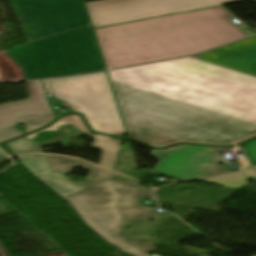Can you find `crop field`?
Wrapping results in <instances>:
<instances>
[{
    "instance_id": "crop-field-1",
    "label": "crop field",
    "mask_w": 256,
    "mask_h": 256,
    "mask_svg": "<svg viewBox=\"0 0 256 256\" xmlns=\"http://www.w3.org/2000/svg\"><path fill=\"white\" fill-rule=\"evenodd\" d=\"M131 139L226 146L256 135V78L188 57L108 71Z\"/></svg>"
},
{
    "instance_id": "crop-field-2",
    "label": "crop field",
    "mask_w": 256,
    "mask_h": 256,
    "mask_svg": "<svg viewBox=\"0 0 256 256\" xmlns=\"http://www.w3.org/2000/svg\"><path fill=\"white\" fill-rule=\"evenodd\" d=\"M223 6L95 29L108 69L181 57L249 36Z\"/></svg>"
},
{
    "instance_id": "crop-field-3",
    "label": "crop field",
    "mask_w": 256,
    "mask_h": 256,
    "mask_svg": "<svg viewBox=\"0 0 256 256\" xmlns=\"http://www.w3.org/2000/svg\"><path fill=\"white\" fill-rule=\"evenodd\" d=\"M86 188L63 197L84 223L111 245L133 255L149 256L151 242H129L119 236L125 222L158 219L151 209L138 206L136 198H154L153 190L128 181L80 183Z\"/></svg>"
},
{
    "instance_id": "crop-field-4",
    "label": "crop field",
    "mask_w": 256,
    "mask_h": 256,
    "mask_svg": "<svg viewBox=\"0 0 256 256\" xmlns=\"http://www.w3.org/2000/svg\"><path fill=\"white\" fill-rule=\"evenodd\" d=\"M4 52L23 68L25 80L105 70L90 25Z\"/></svg>"
},
{
    "instance_id": "crop-field-5",
    "label": "crop field",
    "mask_w": 256,
    "mask_h": 256,
    "mask_svg": "<svg viewBox=\"0 0 256 256\" xmlns=\"http://www.w3.org/2000/svg\"><path fill=\"white\" fill-rule=\"evenodd\" d=\"M43 81L48 95L83 114L94 130L117 136L125 132L105 72Z\"/></svg>"
},
{
    "instance_id": "crop-field-6",
    "label": "crop field",
    "mask_w": 256,
    "mask_h": 256,
    "mask_svg": "<svg viewBox=\"0 0 256 256\" xmlns=\"http://www.w3.org/2000/svg\"><path fill=\"white\" fill-rule=\"evenodd\" d=\"M27 42L91 23L83 0H11Z\"/></svg>"
},
{
    "instance_id": "crop-field-7",
    "label": "crop field",
    "mask_w": 256,
    "mask_h": 256,
    "mask_svg": "<svg viewBox=\"0 0 256 256\" xmlns=\"http://www.w3.org/2000/svg\"><path fill=\"white\" fill-rule=\"evenodd\" d=\"M237 0H100L85 3L94 27L203 8Z\"/></svg>"
},
{
    "instance_id": "crop-field-8",
    "label": "crop field",
    "mask_w": 256,
    "mask_h": 256,
    "mask_svg": "<svg viewBox=\"0 0 256 256\" xmlns=\"http://www.w3.org/2000/svg\"><path fill=\"white\" fill-rule=\"evenodd\" d=\"M152 156L158 164L150 172L178 179L180 181L227 172L219 166V160L211 153L210 147L178 145L164 150H153Z\"/></svg>"
},
{
    "instance_id": "crop-field-9",
    "label": "crop field",
    "mask_w": 256,
    "mask_h": 256,
    "mask_svg": "<svg viewBox=\"0 0 256 256\" xmlns=\"http://www.w3.org/2000/svg\"><path fill=\"white\" fill-rule=\"evenodd\" d=\"M26 84L29 99L0 105V128L25 123L27 133L55 119L43 97L41 82Z\"/></svg>"
},
{
    "instance_id": "crop-field-10",
    "label": "crop field",
    "mask_w": 256,
    "mask_h": 256,
    "mask_svg": "<svg viewBox=\"0 0 256 256\" xmlns=\"http://www.w3.org/2000/svg\"><path fill=\"white\" fill-rule=\"evenodd\" d=\"M197 58L256 77V37L224 46Z\"/></svg>"
},
{
    "instance_id": "crop-field-11",
    "label": "crop field",
    "mask_w": 256,
    "mask_h": 256,
    "mask_svg": "<svg viewBox=\"0 0 256 256\" xmlns=\"http://www.w3.org/2000/svg\"><path fill=\"white\" fill-rule=\"evenodd\" d=\"M18 158L19 160H22L21 162L23 163V165L34 174L49 172L50 174L38 176V178L46 183L48 186H50L62 197L85 188L62 174L51 173L43 155L33 154L20 156Z\"/></svg>"
},
{
    "instance_id": "crop-field-12",
    "label": "crop field",
    "mask_w": 256,
    "mask_h": 256,
    "mask_svg": "<svg viewBox=\"0 0 256 256\" xmlns=\"http://www.w3.org/2000/svg\"><path fill=\"white\" fill-rule=\"evenodd\" d=\"M83 122V121H82ZM81 122L79 115H70L61 118L60 125L72 124L77 127L82 133L93 138L90 147L103 150L99 160V166H103L112 170L119 152L122 140H113L112 137L102 135H92L84 124Z\"/></svg>"
},
{
    "instance_id": "crop-field-13",
    "label": "crop field",
    "mask_w": 256,
    "mask_h": 256,
    "mask_svg": "<svg viewBox=\"0 0 256 256\" xmlns=\"http://www.w3.org/2000/svg\"><path fill=\"white\" fill-rule=\"evenodd\" d=\"M44 156L52 172L59 171L65 174L75 166L81 167L90 171L85 181L113 179L118 175L78 159L53 156V155H44Z\"/></svg>"
},
{
    "instance_id": "crop-field-14",
    "label": "crop field",
    "mask_w": 256,
    "mask_h": 256,
    "mask_svg": "<svg viewBox=\"0 0 256 256\" xmlns=\"http://www.w3.org/2000/svg\"><path fill=\"white\" fill-rule=\"evenodd\" d=\"M248 178L256 179V170L254 168L203 180V181L238 189L242 185L247 184L246 181L248 180Z\"/></svg>"
},
{
    "instance_id": "crop-field-15",
    "label": "crop field",
    "mask_w": 256,
    "mask_h": 256,
    "mask_svg": "<svg viewBox=\"0 0 256 256\" xmlns=\"http://www.w3.org/2000/svg\"><path fill=\"white\" fill-rule=\"evenodd\" d=\"M56 133L57 132H41L33 140L26 141L25 137H21L19 139L8 142V144L15 152V154L24 152H42L38 143L55 137Z\"/></svg>"
},
{
    "instance_id": "crop-field-16",
    "label": "crop field",
    "mask_w": 256,
    "mask_h": 256,
    "mask_svg": "<svg viewBox=\"0 0 256 256\" xmlns=\"http://www.w3.org/2000/svg\"><path fill=\"white\" fill-rule=\"evenodd\" d=\"M241 146L246 150L253 165H256V138L241 144Z\"/></svg>"
},
{
    "instance_id": "crop-field-17",
    "label": "crop field",
    "mask_w": 256,
    "mask_h": 256,
    "mask_svg": "<svg viewBox=\"0 0 256 256\" xmlns=\"http://www.w3.org/2000/svg\"><path fill=\"white\" fill-rule=\"evenodd\" d=\"M18 135H22V134L13 128L0 130V139L15 137Z\"/></svg>"
},
{
    "instance_id": "crop-field-18",
    "label": "crop field",
    "mask_w": 256,
    "mask_h": 256,
    "mask_svg": "<svg viewBox=\"0 0 256 256\" xmlns=\"http://www.w3.org/2000/svg\"><path fill=\"white\" fill-rule=\"evenodd\" d=\"M59 121H60V120H59ZM59 121H57L56 123H54L51 127L47 128V129H44V130H41V131H57ZM39 132H40V131H38V132H36V133H33V134H30V135H27V138H28V139H32V138L36 137Z\"/></svg>"
},
{
    "instance_id": "crop-field-19",
    "label": "crop field",
    "mask_w": 256,
    "mask_h": 256,
    "mask_svg": "<svg viewBox=\"0 0 256 256\" xmlns=\"http://www.w3.org/2000/svg\"><path fill=\"white\" fill-rule=\"evenodd\" d=\"M243 158H244V160L241 162V163H242V165H243V167H245V168H247V167H251L252 165H251V163H250V161H249L248 157H247V156H245V157H243Z\"/></svg>"
},
{
    "instance_id": "crop-field-20",
    "label": "crop field",
    "mask_w": 256,
    "mask_h": 256,
    "mask_svg": "<svg viewBox=\"0 0 256 256\" xmlns=\"http://www.w3.org/2000/svg\"><path fill=\"white\" fill-rule=\"evenodd\" d=\"M0 148L6 152L8 155H12L11 151L8 149V147L5 145V143L0 145Z\"/></svg>"
},
{
    "instance_id": "crop-field-21",
    "label": "crop field",
    "mask_w": 256,
    "mask_h": 256,
    "mask_svg": "<svg viewBox=\"0 0 256 256\" xmlns=\"http://www.w3.org/2000/svg\"><path fill=\"white\" fill-rule=\"evenodd\" d=\"M215 149H216V148L211 147L212 153L216 156L217 159L220 160V158L222 157V153H217V152H215V151H214Z\"/></svg>"
},
{
    "instance_id": "crop-field-22",
    "label": "crop field",
    "mask_w": 256,
    "mask_h": 256,
    "mask_svg": "<svg viewBox=\"0 0 256 256\" xmlns=\"http://www.w3.org/2000/svg\"><path fill=\"white\" fill-rule=\"evenodd\" d=\"M10 160L9 157L8 158H4V159H0V165L3 164L4 162Z\"/></svg>"
},
{
    "instance_id": "crop-field-23",
    "label": "crop field",
    "mask_w": 256,
    "mask_h": 256,
    "mask_svg": "<svg viewBox=\"0 0 256 256\" xmlns=\"http://www.w3.org/2000/svg\"><path fill=\"white\" fill-rule=\"evenodd\" d=\"M6 157L1 151H0V158Z\"/></svg>"
},
{
    "instance_id": "crop-field-24",
    "label": "crop field",
    "mask_w": 256,
    "mask_h": 256,
    "mask_svg": "<svg viewBox=\"0 0 256 256\" xmlns=\"http://www.w3.org/2000/svg\"><path fill=\"white\" fill-rule=\"evenodd\" d=\"M152 256H158V255L152 254Z\"/></svg>"
},
{
    "instance_id": "crop-field-25",
    "label": "crop field",
    "mask_w": 256,
    "mask_h": 256,
    "mask_svg": "<svg viewBox=\"0 0 256 256\" xmlns=\"http://www.w3.org/2000/svg\"><path fill=\"white\" fill-rule=\"evenodd\" d=\"M3 140H6V139H3ZM3 140H0V141H3Z\"/></svg>"
},
{
    "instance_id": "crop-field-26",
    "label": "crop field",
    "mask_w": 256,
    "mask_h": 256,
    "mask_svg": "<svg viewBox=\"0 0 256 256\" xmlns=\"http://www.w3.org/2000/svg\"><path fill=\"white\" fill-rule=\"evenodd\" d=\"M240 1H243V0H240Z\"/></svg>"
},
{
    "instance_id": "crop-field-27",
    "label": "crop field",
    "mask_w": 256,
    "mask_h": 256,
    "mask_svg": "<svg viewBox=\"0 0 256 256\" xmlns=\"http://www.w3.org/2000/svg\"><path fill=\"white\" fill-rule=\"evenodd\" d=\"M256 169V168H255Z\"/></svg>"
}]
</instances>
